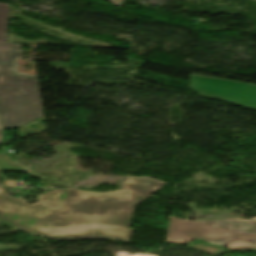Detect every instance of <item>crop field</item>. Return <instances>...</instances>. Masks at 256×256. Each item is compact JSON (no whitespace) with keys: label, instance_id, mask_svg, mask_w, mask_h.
<instances>
[{"label":"crop field","instance_id":"8a807250","mask_svg":"<svg viewBox=\"0 0 256 256\" xmlns=\"http://www.w3.org/2000/svg\"><path fill=\"white\" fill-rule=\"evenodd\" d=\"M163 183L145 177H131L125 190L112 193L70 190L51 238L108 237L129 241L133 229H128V226L134 205Z\"/></svg>","mask_w":256,"mask_h":256},{"label":"crop field","instance_id":"ac0d7876","mask_svg":"<svg viewBox=\"0 0 256 256\" xmlns=\"http://www.w3.org/2000/svg\"><path fill=\"white\" fill-rule=\"evenodd\" d=\"M20 44H0V104L4 129L23 126L43 116L37 77L18 73Z\"/></svg>","mask_w":256,"mask_h":256},{"label":"crop field","instance_id":"34b2d1b8","mask_svg":"<svg viewBox=\"0 0 256 256\" xmlns=\"http://www.w3.org/2000/svg\"><path fill=\"white\" fill-rule=\"evenodd\" d=\"M201 239L235 250L256 249V222L238 220L187 221L170 218L168 242Z\"/></svg>","mask_w":256,"mask_h":256},{"label":"crop field","instance_id":"412701ff","mask_svg":"<svg viewBox=\"0 0 256 256\" xmlns=\"http://www.w3.org/2000/svg\"><path fill=\"white\" fill-rule=\"evenodd\" d=\"M69 190L42 194L39 204H28L0 191V218L30 233L51 236Z\"/></svg>","mask_w":256,"mask_h":256},{"label":"crop field","instance_id":"f4fd0767","mask_svg":"<svg viewBox=\"0 0 256 256\" xmlns=\"http://www.w3.org/2000/svg\"><path fill=\"white\" fill-rule=\"evenodd\" d=\"M190 88L208 97L256 111V85L192 74Z\"/></svg>","mask_w":256,"mask_h":256},{"label":"crop field","instance_id":"dd49c442","mask_svg":"<svg viewBox=\"0 0 256 256\" xmlns=\"http://www.w3.org/2000/svg\"><path fill=\"white\" fill-rule=\"evenodd\" d=\"M9 4H0V42H6Z\"/></svg>","mask_w":256,"mask_h":256},{"label":"crop field","instance_id":"e52e79f7","mask_svg":"<svg viewBox=\"0 0 256 256\" xmlns=\"http://www.w3.org/2000/svg\"><path fill=\"white\" fill-rule=\"evenodd\" d=\"M191 248H194V249L206 252V253H210V254H213V255H217V256H220L222 254L231 252V251L216 248L214 246H211V245H208V244H205V243L193 244V245H191Z\"/></svg>","mask_w":256,"mask_h":256},{"label":"crop field","instance_id":"d8731c3e","mask_svg":"<svg viewBox=\"0 0 256 256\" xmlns=\"http://www.w3.org/2000/svg\"><path fill=\"white\" fill-rule=\"evenodd\" d=\"M0 171L23 172V169L13 165L9 157L0 155Z\"/></svg>","mask_w":256,"mask_h":256},{"label":"crop field","instance_id":"5a996713","mask_svg":"<svg viewBox=\"0 0 256 256\" xmlns=\"http://www.w3.org/2000/svg\"><path fill=\"white\" fill-rule=\"evenodd\" d=\"M1 131H2V127H1V120H0V142L2 140Z\"/></svg>","mask_w":256,"mask_h":256}]
</instances>
